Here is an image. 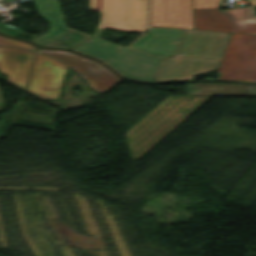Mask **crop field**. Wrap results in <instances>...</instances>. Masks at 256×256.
Wrapping results in <instances>:
<instances>
[{
    "mask_svg": "<svg viewBox=\"0 0 256 256\" xmlns=\"http://www.w3.org/2000/svg\"><path fill=\"white\" fill-rule=\"evenodd\" d=\"M38 51L56 56L78 71L91 88L102 94L112 86L119 83V79L110 70L100 63L82 57L69 51L51 50L39 48Z\"/></svg>",
    "mask_w": 256,
    "mask_h": 256,
    "instance_id": "d8731c3e",
    "label": "crop field"
},
{
    "mask_svg": "<svg viewBox=\"0 0 256 256\" xmlns=\"http://www.w3.org/2000/svg\"><path fill=\"white\" fill-rule=\"evenodd\" d=\"M217 80L251 81L256 70V35L233 33Z\"/></svg>",
    "mask_w": 256,
    "mask_h": 256,
    "instance_id": "412701ff",
    "label": "crop field"
},
{
    "mask_svg": "<svg viewBox=\"0 0 256 256\" xmlns=\"http://www.w3.org/2000/svg\"><path fill=\"white\" fill-rule=\"evenodd\" d=\"M3 2L25 1V0H0ZM39 13L51 24L48 33L32 40L41 46H52L60 48H71L90 35L76 30L68 29L64 25L58 0H34Z\"/></svg>",
    "mask_w": 256,
    "mask_h": 256,
    "instance_id": "dd49c442",
    "label": "crop field"
},
{
    "mask_svg": "<svg viewBox=\"0 0 256 256\" xmlns=\"http://www.w3.org/2000/svg\"><path fill=\"white\" fill-rule=\"evenodd\" d=\"M0 45L20 46V47L30 48L34 50L38 49L37 47H34L28 43H24L21 41L13 40V39L2 37V36H0Z\"/></svg>",
    "mask_w": 256,
    "mask_h": 256,
    "instance_id": "cbeb9de0",
    "label": "crop field"
},
{
    "mask_svg": "<svg viewBox=\"0 0 256 256\" xmlns=\"http://www.w3.org/2000/svg\"><path fill=\"white\" fill-rule=\"evenodd\" d=\"M89 11H101L97 28H109L122 20L117 30L143 31L146 28L147 0H89Z\"/></svg>",
    "mask_w": 256,
    "mask_h": 256,
    "instance_id": "f4fd0767",
    "label": "crop field"
},
{
    "mask_svg": "<svg viewBox=\"0 0 256 256\" xmlns=\"http://www.w3.org/2000/svg\"><path fill=\"white\" fill-rule=\"evenodd\" d=\"M230 34L185 30L176 55L162 61L153 82L193 80L216 71Z\"/></svg>",
    "mask_w": 256,
    "mask_h": 256,
    "instance_id": "ac0d7876",
    "label": "crop field"
},
{
    "mask_svg": "<svg viewBox=\"0 0 256 256\" xmlns=\"http://www.w3.org/2000/svg\"><path fill=\"white\" fill-rule=\"evenodd\" d=\"M66 68L64 63L36 53L26 92L40 98L58 99Z\"/></svg>",
    "mask_w": 256,
    "mask_h": 256,
    "instance_id": "e52e79f7",
    "label": "crop field"
},
{
    "mask_svg": "<svg viewBox=\"0 0 256 256\" xmlns=\"http://www.w3.org/2000/svg\"><path fill=\"white\" fill-rule=\"evenodd\" d=\"M33 57L34 52L0 47V73L7 77V83L25 91Z\"/></svg>",
    "mask_w": 256,
    "mask_h": 256,
    "instance_id": "3316defc",
    "label": "crop field"
},
{
    "mask_svg": "<svg viewBox=\"0 0 256 256\" xmlns=\"http://www.w3.org/2000/svg\"><path fill=\"white\" fill-rule=\"evenodd\" d=\"M187 95H234L256 96V87L253 85L223 84V83H193L186 84Z\"/></svg>",
    "mask_w": 256,
    "mask_h": 256,
    "instance_id": "28ad6ade",
    "label": "crop field"
},
{
    "mask_svg": "<svg viewBox=\"0 0 256 256\" xmlns=\"http://www.w3.org/2000/svg\"><path fill=\"white\" fill-rule=\"evenodd\" d=\"M234 19H248L255 17V8L248 7V8H241V9H231L227 10Z\"/></svg>",
    "mask_w": 256,
    "mask_h": 256,
    "instance_id": "22f410ed",
    "label": "crop field"
},
{
    "mask_svg": "<svg viewBox=\"0 0 256 256\" xmlns=\"http://www.w3.org/2000/svg\"><path fill=\"white\" fill-rule=\"evenodd\" d=\"M211 97L169 96L127 131L132 162L149 151Z\"/></svg>",
    "mask_w": 256,
    "mask_h": 256,
    "instance_id": "34b2d1b8",
    "label": "crop field"
},
{
    "mask_svg": "<svg viewBox=\"0 0 256 256\" xmlns=\"http://www.w3.org/2000/svg\"><path fill=\"white\" fill-rule=\"evenodd\" d=\"M233 32L256 34V23H244L241 29H233Z\"/></svg>",
    "mask_w": 256,
    "mask_h": 256,
    "instance_id": "d9b57169",
    "label": "crop field"
},
{
    "mask_svg": "<svg viewBox=\"0 0 256 256\" xmlns=\"http://www.w3.org/2000/svg\"><path fill=\"white\" fill-rule=\"evenodd\" d=\"M0 32L8 34V35H12V36L24 33L19 28L12 27V26H7V25H3V24H0Z\"/></svg>",
    "mask_w": 256,
    "mask_h": 256,
    "instance_id": "733c2abd",
    "label": "crop field"
},
{
    "mask_svg": "<svg viewBox=\"0 0 256 256\" xmlns=\"http://www.w3.org/2000/svg\"><path fill=\"white\" fill-rule=\"evenodd\" d=\"M250 5H256V0H249Z\"/></svg>",
    "mask_w": 256,
    "mask_h": 256,
    "instance_id": "4a817a6b",
    "label": "crop field"
},
{
    "mask_svg": "<svg viewBox=\"0 0 256 256\" xmlns=\"http://www.w3.org/2000/svg\"><path fill=\"white\" fill-rule=\"evenodd\" d=\"M252 81H256V73H255L254 78H253V80H252Z\"/></svg>",
    "mask_w": 256,
    "mask_h": 256,
    "instance_id": "bc2a9ffb",
    "label": "crop field"
},
{
    "mask_svg": "<svg viewBox=\"0 0 256 256\" xmlns=\"http://www.w3.org/2000/svg\"><path fill=\"white\" fill-rule=\"evenodd\" d=\"M151 26L193 29L191 0H151Z\"/></svg>",
    "mask_w": 256,
    "mask_h": 256,
    "instance_id": "5a996713",
    "label": "crop field"
},
{
    "mask_svg": "<svg viewBox=\"0 0 256 256\" xmlns=\"http://www.w3.org/2000/svg\"><path fill=\"white\" fill-rule=\"evenodd\" d=\"M102 32L72 49L107 62L127 78L152 82L162 58L175 54L184 31L152 28L129 48L98 39Z\"/></svg>",
    "mask_w": 256,
    "mask_h": 256,
    "instance_id": "8a807250",
    "label": "crop field"
},
{
    "mask_svg": "<svg viewBox=\"0 0 256 256\" xmlns=\"http://www.w3.org/2000/svg\"><path fill=\"white\" fill-rule=\"evenodd\" d=\"M192 1H193V9L218 7L217 4L219 2V0H192Z\"/></svg>",
    "mask_w": 256,
    "mask_h": 256,
    "instance_id": "5142ce71",
    "label": "crop field"
},
{
    "mask_svg": "<svg viewBox=\"0 0 256 256\" xmlns=\"http://www.w3.org/2000/svg\"><path fill=\"white\" fill-rule=\"evenodd\" d=\"M194 29L232 32L231 19L218 8L193 10Z\"/></svg>",
    "mask_w": 256,
    "mask_h": 256,
    "instance_id": "d1516ede",
    "label": "crop field"
}]
</instances>
